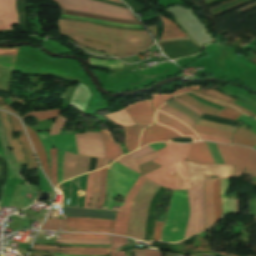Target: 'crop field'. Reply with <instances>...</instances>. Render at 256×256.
I'll return each mask as SVG.
<instances>
[{
	"instance_id": "46",
	"label": "crop field",
	"mask_w": 256,
	"mask_h": 256,
	"mask_svg": "<svg viewBox=\"0 0 256 256\" xmlns=\"http://www.w3.org/2000/svg\"><path fill=\"white\" fill-rule=\"evenodd\" d=\"M100 171H101V169L96 171L94 192H93V197H92L90 208H95L96 207V203H97V199H98V194H99Z\"/></svg>"
},
{
	"instance_id": "51",
	"label": "crop field",
	"mask_w": 256,
	"mask_h": 256,
	"mask_svg": "<svg viewBox=\"0 0 256 256\" xmlns=\"http://www.w3.org/2000/svg\"><path fill=\"white\" fill-rule=\"evenodd\" d=\"M199 135L201 136V138L203 140L222 142V143H226V144H230V142H231V140H229V139L219 138V137L210 136V135H206V134H202V133H199Z\"/></svg>"
},
{
	"instance_id": "48",
	"label": "crop field",
	"mask_w": 256,
	"mask_h": 256,
	"mask_svg": "<svg viewBox=\"0 0 256 256\" xmlns=\"http://www.w3.org/2000/svg\"><path fill=\"white\" fill-rule=\"evenodd\" d=\"M66 122V119H64L63 117H61L60 115L56 118L55 122L53 123L49 134L50 135H54V134H59L62 126L64 125V123Z\"/></svg>"
},
{
	"instance_id": "1",
	"label": "crop field",
	"mask_w": 256,
	"mask_h": 256,
	"mask_svg": "<svg viewBox=\"0 0 256 256\" xmlns=\"http://www.w3.org/2000/svg\"><path fill=\"white\" fill-rule=\"evenodd\" d=\"M60 33L96 50L112 54V49L100 45L84 42L83 37L112 44L118 57L134 54L150 44V37L146 31H123L107 29L91 24L58 21ZM117 57V58H118Z\"/></svg>"
},
{
	"instance_id": "66",
	"label": "crop field",
	"mask_w": 256,
	"mask_h": 256,
	"mask_svg": "<svg viewBox=\"0 0 256 256\" xmlns=\"http://www.w3.org/2000/svg\"><path fill=\"white\" fill-rule=\"evenodd\" d=\"M53 255H55V256H85V255H67V254H57V253H53Z\"/></svg>"
},
{
	"instance_id": "26",
	"label": "crop field",
	"mask_w": 256,
	"mask_h": 256,
	"mask_svg": "<svg viewBox=\"0 0 256 256\" xmlns=\"http://www.w3.org/2000/svg\"><path fill=\"white\" fill-rule=\"evenodd\" d=\"M205 206H206V225H205V230H206L209 227H211L213 223L211 181L205 182Z\"/></svg>"
},
{
	"instance_id": "17",
	"label": "crop field",
	"mask_w": 256,
	"mask_h": 256,
	"mask_svg": "<svg viewBox=\"0 0 256 256\" xmlns=\"http://www.w3.org/2000/svg\"><path fill=\"white\" fill-rule=\"evenodd\" d=\"M9 116H10L12 125L14 127V131L15 132L20 131L22 133L19 139L26 151L27 161H28V169L38 168L36 160L33 155V152L31 150L30 144L28 142V139L24 133V130H23L19 120L12 115H9Z\"/></svg>"
},
{
	"instance_id": "39",
	"label": "crop field",
	"mask_w": 256,
	"mask_h": 256,
	"mask_svg": "<svg viewBox=\"0 0 256 256\" xmlns=\"http://www.w3.org/2000/svg\"><path fill=\"white\" fill-rule=\"evenodd\" d=\"M194 129L198 132H202V133H206V134H210V135H215V136H220V137H224V138H232V133H228V132H224L221 130H216V129H211V128H206V127H202V126H197L194 125Z\"/></svg>"
},
{
	"instance_id": "29",
	"label": "crop field",
	"mask_w": 256,
	"mask_h": 256,
	"mask_svg": "<svg viewBox=\"0 0 256 256\" xmlns=\"http://www.w3.org/2000/svg\"><path fill=\"white\" fill-rule=\"evenodd\" d=\"M202 87V86H194V87H188V88H180L178 89L174 94L172 95H153L152 97V106H153V109L154 111L162 104L164 103L166 100L178 95V94H181V93H184V92H190V91H193V90H199V88Z\"/></svg>"
},
{
	"instance_id": "19",
	"label": "crop field",
	"mask_w": 256,
	"mask_h": 256,
	"mask_svg": "<svg viewBox=\"0 0 256 256\" xmlns=\"http://www.w3.org/2000/svg\"><path fill=\"white\" fill-rule=\"evenodd\" d=\"M41 229L71 231V232H105L111 233L112 229H84V228H65V220L47 219Z\"/></svg>"
},
{
	"instance_id": "55",
	"label": "crop field",
	"mask_w": 256,
	"mask_h": 256,
	"mask_svg": "<svg viewBox=\"0 0 256 256\" xmlns=\"http://www.w3.org/2000/svg\"><path fill=\"white\" fill-rule=\"evenodd\" d=\"M152 152V150L150 149V147L147 145V146H144L132 153H130L135 159L143 156V155H146L148 153Z\"/></svg>"
},
{
	"instance_id": "30",
	"label": "crop field",
	"mask_w": 256,
	"mask_h": 256,
	"mask_svg": "<svg viewBox=\"0 0 256 256\" xmlns=\"http://www.w3.org/2000/svg\"><path fill=\"white\" fill-rule=\"evenodd\" d=\"M162 20L164 22V32L161 39L187 36L180 29H178L170 20L163 17Z\"/></svg>"
},
{
	"instance_id": "42",
	"label": "crop field",
	"mask_w": 256,
	"mask_h": 256,
	"mask_svg": "<svg viewBox=\"0 0 256 256\" xmlns=\"http://www.w3.org/2000/svg\"><path fill=\"white\" fill-rule=\"evenodd\" d=\"M106 175H107V167L102 169L100 194H99V199H98V203H97V207H96L98 209L101 208L102 203L104 201L105 188H106Z\"/></svg>"
},
{
	"instance_id": "59",
	"label": "crop field",
	"mask_w": 256,
	"mask_h": 256,
	"mask_svg": "<svg viewBox=\"0 0 256 256\" xmlns=\"http://www.w3.org/2000/svg\"><path fill=\"white\" fill-rule=\"evenodd\" d=\"M162 225H163V222H157L156 223V226H155V229H154V241L159 240Z\"/></svg>"
},
{
	"instance_id": "40",
	"label": "crop field",
	"mask_w": 256,
	"mask_h": 256,
	"mask_svg": "<svg viewBox=\"0 0 256 256\" xmlns=\"http://www.w3.org/2000/svg\"><path fill=\"white\" fill-rule=\"evenodd\" d=\"M160 110L183 120L185 123H187L191 127H193V125H194V122L191 119H189L186 115L180 113L179 111H177L169 106L165 105L162 108H160Z\"/></svg>"
},
{
	"instance_id": "35",
	"label": "crop field",
	"mask_w": 256,
	"mask_h": 256,
	"mask_svg": "<svg viewBox=\"0 0 256 256\" xmlns=\"http://www.w3.org/2000/svg\"><path fill=\"white\" fill-rule=\"evenodd\" d=\"M193 94H194V93H193ZM195 95H197V94H195ZM197 96H199V95H197ZM199 97H201V98H203V99H205V100H207V101H210V102H213V103H216V104H219V105H222V106L227 107V108H225V109H223V110H221V111L219 112V114L217 115L218 117H223V118H228V119L236 120L240 115H242L240 112H238V111H237L236 109H234V108H230V107H228V106H226V105H224V104H221V103H219V102H216V101H213V100L204 98V97H202V96H199Z\"/></svg>"
},
{
	"instance_id": "58",
	"label": "crop field",
	"mask_w": 256,
	"mask_h": 256,
	"mask_svg": "<svg viewBox=\"0 0 256 256\" xmlns=\"http://www.w3.org/2000/svg\"><path fill=\"white\" fill-rule=\"evenodd\" d=\"M90 63H91V65H94V66H104V67L109 69V61L94 60V59L90 58Z\"/></svg>"
},
{
	"instance_id": "65",
	"label": "crop field",
	"mask_w": 256,
	"mask_h": 256,
	"mask_svg": "<svg viewBox=\"0 0 256 256\" xmlns=\"http://www.w3.org/2000/svg\"><path fill=\"white\" fill-rule=\"evenodd\" d=\"M134 253H135V256H144L143 250H136L134 251Z\"/></svg>"
},
{
	"instance_id": "13",
	"label": "crop field",
	"mask_w": 256,
	"mask_h": 256,
	"mask_svg": "<svg viewBox=\"0 0 256 256\" xmlns=\"http://www.w3.org/2000/svg\"><path fill=\"white\" fill-rule=\"evenodd\" d=\"M179 137L181 136H179L174 131L153 124L152 126L143 130L139 147H142L149 143L159 142V141H169L170 140L169 138H179Z\"/></svg>"
},
{
	"instance_id": "68",
	"label": "crop field",
	"mask_w": 256,
	"mask_h": 256,
	"mask_svg": "<svg viewBox=\"0 0 256 256\" xmlns=\"http://www.w3.org/2000/svg\"><path fill=\"white\" fill-rule=\"evenodd\" d=\"M101 161H102V160L98 159L96 170L101 168Z\"/></svg>"
},
{
	"instance_id": "12",
	"label": "crop field",
	"mask_w": 256,
	"mask_h": 256,
	"mask_svg": "<svg viewBox=\"0 0 256 256\" xmlns=\"http://www.w3.org/2000/svg\"><path fill=\"white\" fill-rule=\"evenodd\" d=\"M125 109L129 112L136 125H150L153 119V111L150 100L138 101Z\"/></svg>"
},
{
	"instance_id": "67",
	"label": "crop field",
	"mask_w": 256,
	"mask_h": 256,
	"mask_svg": "<svg viewBox=\"0 0 256 256\" xmlns=\"http://www.w3.org/2000/svg\"><path fill=\"white\" fill-rule=\"evenodd\" d=\"M5 108L8 109V110H10V111L13 112L14 114L18 115L17 112H16L14 109H12L11 107H9V106L6 105V104H5Z\"/></svg>"
},
{
	"instance_id": "3",
	"label": "crop field",
	"mask_w": 256,
	"mask_h": 256,
	"mask_svg": "<svg viewBox=\"0 0 256 256\" xmlns=\"http://www.w3.org/2000/svg\"><path fill=\"white\" fill-rule=\"evenodd\" d=\"M165 144L167 147L156 152L160 158L152 160L163 167L144 177L165 188L189 189V183H179V180H173V175L185 173L186 179H189L185 159L192 144ZM174 179H180V182H189V180H185L184 174L174 176Z\"/></svg>"
},
{
	"instance_id": "63",
	"label": "crop field",
	"mask_w": 256,
	"mask_h": 256,
	"mask_svg": "<svg viewBox=\"0 0 256 256\" xmlns=\"http://www.w3.org/2000/svg\"><path fill=\"white\" fill-rule=\"evenodd\" d=\"M85 41H87V42H92V43H96V44H100V45H104V46H107V47H111V48H112V46L109 45V44H105V43H101V42H96V41H91V40H86V39H85Z\"/></svg>"
},
{
	"instance_id": "50",
	"label": "crop field",
	"mask_w": 256,
	"mask_h": 256,
	"mask_svg": "<svg viewBox=\"0 0 256 256\" xmlns=\"http://www.w3.org/2000/svg\"><path fill=\"white\" fill-rule=\"evenodd\" d=\"M125 245V238L112 235L111 256H115V248Z\"/></svg>"
},
{
	"instance_id": "22",
	"label": "crop field",
	"mask_w": 256,
	"mask_h": 256,
	"mask_svg": "<svg viewBox=\"0 0 256 256\" xmlns=\"http://www.w3.org/2000/svg\"><path fill=\"white\" fill-rule=\"evenodd\" d=\"M90 96L91 94L86 86L83 84H79L69 104L81 111H84L86 103Z\"/></svg>"
},
{
	"instance_id": "70",
	"label": "crop field",
	"mask_w": 256,
	"mask_h": 256,
	"mask_svg": "<svg viewBox=\"0 0 256 256\" xmlns=\"http://www.w3.org/2000/svg\"><path fill=\"white\" fill-rule=\"evenodd\" d=\"M111 1H114V2H118V3H121L119 0H111ZM123 4V3H122Z\"/></svg>"
},
{
	"instance_id": "5",
	"label": "crop field",
	"mask_w": 256,
	"mask_h": 256,
	"mask_svg": "<svg viewBox=\"0 0 256 256\" xmlns=\"http://www.w3.org/2000/svg\"><path fill=\"white\" fill-rule=\"evenodd\" d=\"M60 8L94 13L110 17L136 20L129 9L94 1V0H55Z\"/></svg>"
},
{
	"instance_id": "47",
	"label": "crop field",
	"mask_w": 256,
	"mask_h": 256,
	"mask_svg": "<svg viewBox=\"0 0 256 256\" xmlns=\"http://www.w3.org/2000/svg\"><path fill=\"white\" fill-rule=\"evenodd\" d=\"M197 125H202V126H208V127H213V128H217V129H221V130H225V131H230L233 132L234 131V127H228V126H223V125H219V124H215V123H211L208 121H204L199 119L196 122Z\"/></svg>"
},
{
	"instance_id": "54",
	"label": "crop field",
	"mask_w": 256,
	"mask_h": 256,
	"mask_svg": "<svg viewBox=\"0 0 256 256\" xmlns=\"http://www.w3.org/2000/svg\"><path fill=\"white\" fill-rule=\"evenodd\" d=\"M64 151L59 149L58 153V184L62 182V166H63Z\"/></svg>"
},
{
	"instance_id": "18",
	"label": "crop field",
	"mask_w": 256,
	"mask_h": 256,
	"mask_svg": "<svg viewBox=\"0 0 256 256\" xmlns=\"http://www.w3.org/2000/svg\"><path fill=\"white\" fill-rule=\"evenodd\" d=\"M0 115H1V118L3 120V123H4V127H5V131L7 133V136L9 138V141H10V144L16 154V157H17V160L19 162V169L21 170L23 165L26 164L25 162V157H24V152L18 142V140L15 138L13 141H12V138H11V133L13 131L11 125H10V122H9V119L7 117V114L4 113V112H0Z\"/></svg>"
},
{
	"instance_id": "57",
	"label": "crop field",
	"mask_w": 256,
	"mask_h": 256,
	"mask_svg": "<svg viewBox=\"0 0 256 256\" xmlns=\"http://www.w3.org/2000/svg\"><path fill=\"white\" fill-rule=\"evenodd\" d=\"M110 70L113 72L124 71L122 62L110 61Z\"/></svg>"
},
{
	"instance_id": "56",
	"label": "crop field",
	"mask_w": 256,
	"mask_h": 256,
	"mask_svg": "<svg viewBox=\"0 0 256 256\" xmlns=\"http://www.w3.org/2000/svg\"><path fill=\"white\" fill-rule=\"evenodd\" d=\"M61 16L70 17V18H76V19H82V20L95 21V22H99V23H103V24H108V25L129 26V27H142V26H138V25H128V24L110 23V22H104V21H99V20L86 19V18H78V17L65 16V15H61Z\"/></svg>"
},
{
	"instance_id": "33",
	"label": "crop field",
	"mask_w": 256,
	"mask_h": 256,
	"mask_svg": "<svg viewBox=\"0 0 256 256\" xmlns=\"http://www.w3.org/2000/svg\"><path fill=\"white\" fill-rule=\"evenodd\" d=\"M61 14H65V15H76V16H84V17H88V18L99 19V20H105V21H111V22H118V23L139 24L138 22H134V21H127V20H121V19H115V18H109V17H102V16H96V15H90V14L79 13V12H74V11H69V10H63V9H61ZM139 25H140V24H139Z\"/></svg>"
},
{
	"instance_id": "24",
	"label": "crop field",
	"mask_w": 256,
	"mask_h": 256,
	"mask_svg": "<svg viewBox=\"0 0 256 256\" xmlns=\"http://www.w3.org/2000/svg\"><path fill=\"white\" fill-rule=\"evenodd\" d=\"M144 128L141 126L125 127L126 147L129 152L137 148L141 130Z\"/></svg>"
},
{
	"instance_id": "49",
	"label": "crop field",
	"mask_w": 256,
	"mask_h": 256,
	"mask_svg": "<svg viewBox=\"0 0 256 256\" xmlns=\"http://www.w3.org/2000/svg\"><path fill=\"white\" fill-rule=\"evenodd\" d=\"M63 243H93V244H110V240H57Z\"/></svg>"
},
{
	"instance_id": "27",
	"label": "crop field",
	"mask_w": 256,
	"mask_h": 256,
	"mask_svg": "<svg viewBox=\"0 0 256 256\" xmlns=\"http://www.w3.org/2000/svg\"><path fill=\"white\" fill-rule=\"evenodd\" d=\"M26 128H27V131H28L29 136L31 138V141H32V143H33V145L35 147V150H36V152L38 154V157H39V159H40V161L42 163V166H43L46 174L50 178L49 170H48V164H47V158H46V154L44 152V149H43V147H42V145H41V143H40L36 133L34 131H32L31 129H29L27 126H26Z\"/></svg>"
},
{
	"instance_id": "38",
	"label": "crop field",
	"mask_w": 256,
	"mask_h": 256,
	"mask_svg": "<svg viewBox=\"0 0 256 256\" xmlns=\"http://www.w3.org/2000/svg\"><path fill=\"white\" fill-rule=\"evenodd\" d=\"M74 234V233H67ZM60 234V238H75V239H110V235L107 234H77L75 235H67Z\"/></svg>"
},
{
	"instance_id": "69",
	"label": "crop field",
	"mask_w": 256,
	"mask_h": 256,
	"mask_svg": "<svg viewBox=\"0 0 256 256\" xmlns=\"http://www.w3.org/2000/svg\"><path fill=\"white\" fill-rule=\"evenodd\" d=\"M107 162H108V160H103L102 168L107 166Z\"/></svg>"
},
{
	"instance_id": "60",
	"label": "crop field",
	"mask_w": 256,
	"mask_h": 256,
	"mask_svg": "<svg viewBox=\"0 0 256 256\" xmlns=\"http://www.w3.org/2000/svg\"><path fill=\"white\" fill-rule=\"evenodd\" d=\"M52 252H59V251H52ZM70 254H85V255H109V253H88V252H64Z\"/></svg>"
},
{
	"instance_id": "16",
	"label": "crop field",
	"mask_w": 256,
	"mask_h": 256,
	"mask_svg": "<svg viewBox=\"0 0 256 256\" xmlns=\"http://www.w3.org/2000/svg\"><path fill=\"white\" fill-rule=\"evenodd\" d=\"M114 221L66 217V227L112 228Z\"/></svg>"
},
{
	"instance_id": "31",
	"label": "crop field",
	"mask_w": 256,
	"mask_h": 256,
	"mask_svg": "<svg viewBox=\"0 0 256 256\" xmlns=\"http://www.w3.org/2000/svg\"><path fill=\"white\" fill-rule=\"evenodd\" d=\"M196 93H200V94H203V95H205V96H208V97H211V98L220 100V101H222V102H224V103H226V104H228V105H231V106H233V107H235V108H238L239 110H241V111H242L244 114H246V115L254 116V115H253L252 113H250L249 111H247V110H245V109H243V108H241V107H239V106L233 104L231 101L224 100V99H221V98L217 97V96H220V97H223V98H226V99L235 101V100H233V99H230L231 97L228 98L229 96L226 97V96H224V95H222V94L216 92V91L213 90V89L197 91ZM215 95H217V96H215ZM254 117H255V116H254ZM255 118H256V117H255Z\"/></svg>"
},
{
	"instance_id": "6",
	"label": "crop field",
	"mask_w": 256,
	"mask_h": 256,
	"mask_svg": "<svg viewBox=\"0 0 256 256\" xmlns=\"http://www.w3.org/2000/svg\"><path fill=\"white\" fill-rule=\"evenodd\" d=\"M225 164L235 165L233 177L242 175H256V151L242 146H222L216 144Z\"/></svg>"
},
{
	"instance_id": "28",
	"label": "crop field",
	"mask_w": 256,
	"mask_h": 256,
	"mask_svg": "<svg viewBox=\"0 0 256 256\" xmlns=\"http://www.w3.org/2000/svg\"><path fill=\"white\" fill-rule=\"evenodd\" d=\"M213 187V208H214V224L218 222L221 217V198L219 196L220 193V185L219 179L212 181Z\"/></svg>"
},
{
	"instance_id": "45",
	"label": "crop field",
	"mask_w": 256,
	"mask_h": 256,
	"mask_svg": "<svg viewBox=\"0 0 256 256\" xmlns=\"http://www.w3.org/2000/svg\"><path fill=\"white\" fill-rule=\"evenodd\" d=\"M93 177H94V172L90 173L88 176L87 187L85 192V205H84V207L86 208H88L89 206L90 198L93 191Z\"/></svg>"
},
{
	"instance_id": "9",
	"label": "crop field",
	"mask_w": 256,
	"mask_h": 256,
	"mask_svg": "<svg viewBox=\"0 0 256 256\" xmlns=\"http://www.w3.org/2000/svg\"><path fill=\"white\" fill-rule=\"evenodd\" d=\"M145 180L146 179L140 176L139 179L128 192L126 199L124 201L122 212H117V216L112 231L113 234L125 236L130 215L131 202L138 193L139 189L141 188Z\"/></svg>"
},
{
	"instance_id": "52",
	"label": "crop field",
	"mask_w": 256,
	"mask_h": 256,
	"mask_svg": "<svg viewBox=\"0 0 256 256\" xmlns=\"http://www.w3.org/2000/svg\"><path fill=\"white\" fill-rule=\"evenodd\" d=\"M112 166H109V171H108V179H107V188H106V200L103 205L102 209H107L108 203H109V195H110V181H111V171H112Z\"/></svg>"
},
{
	"instance_id": "11",
	"label": "crop field",
	"mask_w": 256,
	"mask_h": 256,
	"mask_svg": "<svg viewBox=\"0 0 256 256\" xmlns=\"http://www.w3.org/2000/svg\"><path fill=\"white\" fill-rule=\"evenodd\" d=\"M90 157L75 156L65 152L63 181L87 172Z\"/></svg>"
},
{
	"instance_id": "23",
	"label": "crop field",
	"mask_w": 256,
	"mask_h": 256,
	"mask_svg": "<svg viewBox=\"0 0 256 256\" xmlns=\"http://www.w3.org/2000/svg\"><path fill=\"white\" fill-rule=\"evenodd\" d=\"M232 144H241L252 147L256 144V135L239 127L233 135Z\"/></svg>"
},
{
	"instance_id": "10",
	"label": "crop field",
	"mask_w": 256,
	"mask_h": 256,
	"mask_svg": "<svg viewBox=\"0 0 256 256\" xmlns=\"http://www.w3.org/2000/svg\"><path fill=\"white\" fill-rule=\"evenodd\" d=\"M155 123L174 130L182 137H192L193 142L201 140L197 132L192 128L160 110L156 112Z\"/></svg>"
},
{
	"instance_id": "20",
	"label": "crop field",
	"mask_w": 256,
	"mask_h": 256,
	"mask_svg": "<svg viewBox=\"0 0 256 256\" xmlns=\"http://www.w3.org/2000/svg\"><path fill=\"white\" fill-rule=\"evenodd\" d=\"M101 134L105 146L106 158L114 160L123 155L120 145L115 144L110 132L101 130Z\"/></svg>"
},
{
	"instance_id": "37",
	"label": "crop field",
	"mask_w": 256,
	"mask_h": 256,
	"mask_svg": "<svg viewBox=\"0 0 256 256\" xmlns=\"http://www.w3.org/2000/svg\"><path fill=\"white\" fill-rule=\"evenodd\" d=\"M33 249L43 250V249H58V250H70V251H89V252H109L110 249L103 248H58L56 246H45V245H34Z\"/></svg>"
},
{
	"instance_id": "64",
	"label": "crop field",
	"mask_w": 256,
	"mask_h": 256,
	"mask_svg": "<svg viewBox=\"0 0 256 256\" xmlns=\"http://www.w3.org/2000/svg\"><path fill=\"white\" fill-rule=\"evenodd\" d=\"M188 38H179V39H166V40H160L159 42H167V41H177V40H185Z\"/></svg>"
},
{
	"instance_id": "32",
	"label": "crop field",
	"mask_w": 256,
	"mask_h": 256,
	"mask_svg": "<svg viewBox=\"0 0 256 256\" xmlns=\"http://www.w3.org/2000/svg\"><path fill=\"white\" fill-rule=\"evenodd\" d=\"M177 97H179L183 101L187 102L188 104L194 106L195 108H197L198 110H200L203 113L216 116L217 113L219 112V110L207 107V106L203 105L202 103L194 100L193 98H191L185 94L179 95Z\"/></svg>"
},
{
	"instance_id": "14",
	"label": "crop field",
	"mask_w": 256,
	"mask_h": 256,
	"mask_svg": "<svg viewBox=\"0 0 256 256\" xmlns=\"http://www.w3.org/2000/svg\"><path fill=\"white\" fill-rule=\"evenodd\" d=\"M19 25L15 0H0V29H14Z\"/></svg>"
},
{
	"instance_id": "25",
	"label": "crop field",
	"mask_w": 256,
	"mask_h": 256,
	"mask_svg": "<svg viewBox=\"0 0 256 256\" xmlns=\"http://www.w3.org/2000/svg\"><path fill=\"white\" fill-rule=\"evenodd\" d=\"M156 157H158V156L154 152H152V153H150V154H148L146 156H143V157L135 160L130 154H128V155H125V156L119 158L116 161H118V162L124 164L125 166H127V167H129V168H131V169H133V170H135L137 172H139L137 166H139V165H141V164H143V163H145V162H147L149 160H152V159H154Z\"/></svg>"
},
{
	"instance_id": "53",
	"label": "crop field",
	"mask_w": 256,
	"mask_h": 256,
	"mask_svg": "<svg viewBox=\"0 0 256 256\" xmlns=\"http://www.w3.org/2000/svg\"><path fill=\"white\" fill-rule=\"evenodd\" d=\"M158 167H160V166H158L155 163L149 161V162L139 166V169H140V171H141V173L143 175V174H145V173H147L149 171H152V170H154V169H156Z\"/></svg>"
},
{
	"instance_id": "62",
	"label": "crop field",
	"mask_w": 256,
	"mask_h": 256,
	"mask_svg": "<svg viewBox=\"0 0 256 256\" xmlns=\"http://www.w3.org/2000/svg\"><path fill=\"white\" fill-rule=\"evenodd\" d=\"M151 147V149L153 151H157L163 147H165L164 143H156V144H152V145H149Z\"/></svg>"
},
{
	"instance_id": "61",
	"label": "crop field",
	"mask_w": 256,
	"mask_h": 256,
	"mask_svg": "<svg viewBox=\"0 0 256 256\" xmlns=\"http://www.w3.org/2000/svg\"><path fill=\"white\" fill-rule=\"evenodd\" d=\"M173 100H175V101H177V102H179V103L185 105L186 107H188L189 109H191L192 111H194L195 113H197V114L200 115V116L203 114V113L197 111L196 109H194V108L191 107L190 105L184 103L183 101H181V100H179V99H177V98H174Z\"/></svg>"
},
{
	"instance_id": "8",
	"label": "crop field",
	"mask_w": 256,
	"mask_h": 256,
	"mask_svg": "<svg viewBox=\"0 0 256 256\" xmlns=\"http://www.w3.org/2000/svg\"><path fill=\"white\" fill-rule=\"evenodd\" d=\"M74 136L79 154L105 159L104 147L99 132H86L74 134Z\"/></svg>"
},
{
	"instance_id": "21",
	"label": "crop field",
	"mask_w": 256,
	"mask_h": 256,
	"mask_svg": "<svg viewBox=\"0 0 256 256\" xmlns=\"http://www.w3.org/2000/svg\"><path fill=\"white\" fill-rule=\"evenodd\" d=\"M55 148L67 150L71 153L78 155L73 134L69 135H54L50 136Z\"/></svg>"
},
{
	"instance_id": "34",
	"label": "crop field",
	"mask_w": 256,
	"mask_h": 256,
	"mask_svg": "<svg viewBox=\"0 0 256 256\" xmlns=\"http://www.w3.org/2000/svg\"><path fill=\"white\" fill-rule=\"evenodd\" d=\"M18 50H0V54H17ZM16 55H0V66L14 70Z\"/></svg>"
},
{
	"instance_id": "41",
	"label": "crop field",
	"mask_w": 256,
	"mask_h": 256,
	"mask_svg": "<svg viewBox=\"0 0 256 256\" xmlns=\"http://www.w3.org/2000/svg\"><path fill=\"white\" fill-rule=\"evenodd\" d=\"M39 139L41 140L43 146H44V149L46 151V154H47V158H48V163H49V167H50V156H49V151L48 149L50 148H53V144L51 142V139L48 135V132L47 131H44V132H36Z\"/></svg>"
},
{
	"instance_id": "44",
	"label": "crop field",
	"mask_w": 256,
	"mask_h": 256,
	"mask_svg": "<svg viewBox=\"0 0 256 256\" xmlns=\"http://www.w3.org/2000/svg\"><path fill=\"white\" fill-rule=\"evenodd\" d=\"M51 181L54 184V187L57 185L56 181V173H57V162H56V155H57V149H51Z\"/></svg>"
},
{
	"instance_id": "4",
	"label": "crop field",
	"mask_w": 256,
	"mask_h": 256,
	"mask_svg": "<svg viewBox=\"0 0 256 256\" xmlns=\"http://www.w3.org/2000/svg\"><path fill=\"white\" fill-rule=\"evenodd\" d=\"M189 216L186 190H173L168 217L162 229V240L179 242L184 240L185 228Z\"/></svg>"
},
{
	"instance_id": "15",
	"label": "crop field",
	"mask_w": 256,
	"mask_h": 256,
	"mask_svg": "<svg viewBox=\"0 0 256 256\" xmlns=\"http://www.w3.org/2000/svg\"><path fill=\"white\" fill-rule=\"evenodd\" d=\"M187 161L199 164H215L205 142L192 145Z\"/></svg>"
},
{
	"instance_id": "2",
	"label": "crop field",
	"mask_w": 256,
	"mask_h": 256,
	"mask_svg": "<svg viewBox=\"0 0 256 256\" xmlns=\"http://www.w3.org/2000/svg\"><path fill=\"white\" fill-rule=\"evenodd\" d=\"M192 189L187 190L190 204V216L185 238L202 231L204 225V197L202 182L217 178L232 177L234 166L198 165L186 162Z\"/></svg>"
},
{
	"instance_id": "43",
	"label": "crop field",
	"mask_w": 256,
	"mask_h": 256,
	"mask_svg": "<svg viewBox=\"0 0 256 256\" xmlns=\"http://www.w3.org/2000/svg\"><path fill=\"white\" fill-rule=\"evenodd\" d=\"M227 186H228V179L221 180V197H222L223 215L229 213V201H228V198L224 196V192Z\"/></svg>"
},
{
	"instance_id": "36",
	"label": "crop field",
	"mask_w": 256,
	"mask_h": 256,
	"mask_svg": "<svg viewBox=\"0 0 256 256\" xmlns=\"http://www.w3.org/2000/svg\"><path fill=\"white\" fill-rule=\"evenodd\" d=\"M61 111L62 110L55 107L54 109H52L50 111L45 110V111H40V112H30L27 115L22 116L20 118L23 119V118L31 115V116L35 117L36 119H38L39 121H41V120L57 117Z\"/></svg>"
},
{
	"instance_id": "7",
	"label": "crop field",
	"mask_w": 256,
	"mask_h": 256,
	"mask_svg": "<svg viewBox=\"0 0 256 256\" xmlns=\"http://www.w3.org/2000/svg\"><path fill=\"white\" fill-rule=\"evenodd\" d=\"M139 177V174L119 165L118 163H114L113 171H112V190L111 192L115 193H123L126 194L128 190L131 188L133 183ZM116 194L111 193L110 203L108 209L112 210L113 206L121 205L123 203H116L113 201V197ZM122 195V194H121ZM124 199L126 195H123Z\"/></svg>"
}]
</instances>
